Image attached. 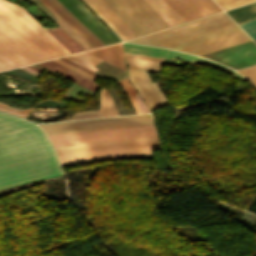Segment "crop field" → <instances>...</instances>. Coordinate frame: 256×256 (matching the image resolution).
<instances>
[{
  "mask_svg": "<svg viewBox=\"0 0 256 256\" xmlns=\"http://www.w3.org/2000/svg\"><path fill=\"white\" fill-rule=\"evenodd\" d=\"M72 56H74V57H76V58H78V59H80V60H82V61H84V62H86V63H88L90 65H92V66H94V65H96V64H98L99 62L102 61V60H100V59H98V58H96V57H94V56H92V55H90V54H88L86 52L80 53V54H76V55H72Z\"/></svg>",
  "mask_w": 256,
  "mask_h": 256,
  "instance_id": "crop-field-27",
  "label": "crop field"
},
{
  "mask_svg": "<svg viewBox=\"0 0 256 256\" xmlns=\"http://www.w3.org/2000/svg\"><path fill=\"white\" fill-rule=\"evenodd\" d=\"M154 144H158L156 136L78 144V145L59 146L55 148L59 155H63V154H72V153H81V152H90V151H99V150H108V149L154 145Z\"/></svg>",
  "mask_w": 256,
  "mask_h": 256,
  "instance_id": "crop-field-10",
  "label": "crop field"
},
{
  "mask_svg": "<svg viewBox=\"0 0 256 256\" xmlns=\"http://www.w3.org/2000/svg\"><path fill=\"white\" fill-rule=\"evenodd\" d=\"M153 124L148 114L40 126L47 135Z\"/></svg>",
  "mask_w": 256,
  "mask_h": 256,
  "instance_id": "crop-field-6",
  "label": "crop field"
},
{
  "mask_svg": "<svg viewBox=\"0 0 256 256\" xmlns=\"http://www.w3.org/2000/svg\"><path fill=\"white\" fill-rule=\"evenodd\" d=\"M185 22L222 11L212 0H164Z\"/></svg>",
  "mask_w": 256,
  "mask_h": 256,
  "instance_id": "crop-field-12",
  "label": "crop field"
},
{
  "mask_svg": "<svg viewBox=\"0 0 256 256\" xmlns=\"http://www.w3.org/2000/svg\"><path fill=\"white\" fill-rule=\"evenodd\" d=\"M56 40H58L71 54L83 51V49L77 45L66 33H64L59 27L45 28Z\"/></svg>",
  "mask_w": 256,
  "mask_h": 256,
  "instance_id": "crop-field-21",
  "label": "crop field"
},
{
  "mask_svg": "<svg viewBox=\"0 0 256 256\" xmlns=\"http://www.w3.org/2000/svg\"><path fill=\"white\" fill-rule=\"evenodd\" d=\"M69 54L23 8L0 0V71Z\"/></svg>",
  "mask_w": 256,
  "mask_h": 256,
  "instance_id": "crop-field-2",
  "label": "crop field"
},
{
  "mask_svg": "<svg viewBox=\"0 0 256 256\" xmlns=\"http://www.w3.org/2000/svg\"><path fill=\"white\" fill-rule=\"evenodd\" d=\"M234 69L256 64V44L251 41L227 49L202 55Z\"/></svg>",
  "mask_w": 256,
  "mask_h": 256,
  "instance_id": "crop-field-8",
  "label": "crop field"
},
{
  "mask_svg": "<svg viewBox=\"0 0 256 256\" xmlns=\"http://www.w3.org/2000/svg\"><path fill=\"white\" fill-rule=\"evenodd\" d=\"M156 135L154 126H139L72 134L52 135L54 146Z\"/></svg>",
  "mask_w": 256,
  "mask_h": 256,
  "instance_id": "crop-field-7",
  "label": "crop field"
},
{
  "mask_svg": "<svg viewBox=\"0 0 256 256\" xmlns=\"http://www.w3.org/2000/svg\"><path fill=\"white\" fill-rule=\"evenodd\" d=\"M66 58H68V59H70V60H72V61H74V62H76V63H78V64H80V65H82V66H84V67H86L88 69H90V70L96 69V68H94V67H92V66H90V65H88V64H86V63H84V62H82V61H80V60H78V59H76L74 57H72V56H66Z\"/></svg>",
  "mask_w": 256,
  "mask_h": 256,
  "instance_id": "crop-field-33",
  "label": "crop field"
},
{
  "mask_svg": "<svg viewBox=\"0 0 256 256\" xmlns=\"http://www.w3.org/2000/svg\"><path fill=\"white\" fill-rule=\"evenodd\" d=\"M99 114L100 117L119 115L109 95V92L105 89H102L100 94Z\"/></svg>",
  "mask_w": 256,
  "mask_h": 256,
  "instance_id": "crop-field-22",
  "label": "crop field"
},
{
  "mask_svg": "<svg viewBox=\"0 0 256 256\" xmlns=\"http://www.w3.org/2000/svg\"><path fill=\"white\" fill-rule=\"evenodd\" d=\"M75 17H77L95 36H97L105 45L121 41L106 27H104L98 18L91 13L78 0H59Z\"/></svg>",
  "mask_w": 256,
  "mask_h": 256,
  "instance_id": "crop-field-9",
  "label": "crop field"
},
{
  "mask_svg": "<svg viewBox=\"0 0 256 256\" xmlns=\"http://www.w3.org/2000/svg\"><path fill=\"white\" fill-rule=\"evenodd\" d=\"M156 149H159L158 145L127 148V149H118V150H109V151L90 152V153H81V154H72V155H63V156H59V157H60L61 162H66V161H76V160H86V159H96V158H106V157L147 154V153H152V150H156ZM147 155H152V154H147ZM147 155H137V156H147ZM137 156H127V157H137ZM127 157H117V158H127ZM117 158H107V159H117ZM107 159L66 162V163H61V164L107 160Z\"/></svg>",
  "mask_w": 256,
  "mask_h": 256,
  "instance_id": "crop-field-13",
  "label": "crop field"
},
{
  "mask_svg": "<svg viewBox=\"0 0 256 256\" xmlns=\"http://www.w3.org/2000/svg\"><path fill=\"white\" fill-rule=\"evenodd\" d=\"M237 72L248 78L256 87V65L242 70H238Z\"/></svg>",
  "mask_w": 256,
  "mask_h": 256,
  "instance_id": "crop-field-26",
  "label": "crop field"
},
{
  "mask_svg": "<svg viewBox=\"0 0 256 256\" xmlns=\"http://www.w3.org/2000/svg\"><path fill=\"white\" fill-rule=\"evenodd\" d=\"M255 41H256V39H255Z\"/></svg>",
  "mask_w": 256,
  "mask_h": 256,
  "instance_id": "crop-field-36",
  "label": "crop field"
},
{
  "mask_svg": "<svg viewBox=\"0 0 256 256\" xmlns=\"http://www.w3.org/2000/svg\"><path fill=\"white\" fill-rule=\"evenodd\" d=\"M170 26L184 21L163 1L145 0Z\"/></svg>",
  "mask_w": 256,
  "mask_h": 256,
  "instance_id": "crop-field-17",
  "label": "crop field"
},
{
  "mask_svg": "<svg viewBox=\"0 0 256 256\" xmlns=\"http://www.w3.org/2000/svg\"><path fill=\"white\" fill-rule=\"evenodd\" d=\"M89 112H97V113H89ZM83 113H89V114H84V115H81V116L73 117L74 115L83 114ZM95 117H99L98 110L82 111V112L74 113V114H72V118H70L68 120L95 118Z\"/></svg>",
  "mask_w": 256,
  "mask_h": 256,
  "instance_id": "crop-field-29",
  "label": "crop field"
},
{
  "mask_svg": "<svg viewBox=\"0 0 256 256\" xmlns=\"http://www.w3.org/2000/svg\"><path fill=\"white\" fill-rule=\"evenodd\" d=\"M223 10L234 8L256 0H214Z\"/></svg>",
  "mask_w": 256,
  "mask_h": 256,
  "instance_id": "crop-field-24",
  "label": "crop field"
},
{
  "mask_svg": "<svg viewBox=\"0 0 256 256\" xmlns=\"http://www.w3.org/2000/svg\"><path fill=\"white\" fill-rule=\"evenodd\" d=\"M59 59L65 61V62H67V63H69V64H71V65H73V66H75V67H77V68H79V69H81V70H83V71H85V72H87V73H89V74L95 76V77H99V78L103 79L102 77H100V76H98V75H96V74H94V73H92V72H90V71L84 69L83 67H81V66H79V65H77V64H75V63H73V62H71V61H69V60H67V59H65V58H63V57H61V58H59Z\"/></svg>",
  "mask_w": 256,
  "mask_h": 256,
  "instance_id": "crop-field-32",
  "label": "crop field"
},
{
  "mask_svg": "<svg viewBox=\"0 0 256 256\" xmlns=\"http://www.w3.org/2000/svg\"><path fill=\"white\" fill-rule=\"evenodd\" d=\"M240 26L253 38H256V21L247 23V24H243V26L255 37H253L241 24Z\"/></svg>",
  "mask_w": 256,
  "mask_h": 256,
  "instance_id": "crop-field-30",
  "label": "crop field"
},
{
  "mask_svg": "<svg viewBox=\"0 0 256 256\" xmlns=\"http://www.w3.org/2000/svg\"><path fill=\"white\" fill-rule=\"evenodd\" d=\"M125 51L156 57H165L167 50L124 43Z\"/></svg>",
  "mask_w": 256,
  "mask_h": 256,
  "instance_id": "crop-field-23",
  "label": "crop field"
},
{
  "mask_svg": "<svg viewBox=\"0 0 256 256\" xmlns=\"http://www.w3.org/2000/svg\"><path fill=\"white\" fill-rule=\"evenodd\" d=\"M108 47H110V48H112V49H114V50H116V51H118V52L123 54L122 43L116 44V45H112V46H108Z\"/></svg>",
  "mask_w": 256,
  "mask_h": 256,
  "instance_id": "crop-field-34",
  "label": "crop field"
},
{
  "mask_svg": "<svg viewBox=\"0 0 256 256\" xmlns=\"http://www.w3.org/2000/svg\"><path fill=\"white\" fill-rule=\"evenodd\" d=\"M103 1L137 36L169 27L144 0Z\"/></svg>",
  "mask_w": 256,
  "mask_h": 256,
  "instance_id": "crop-field-4",
  "label": "crop field"
},
{
  "mask_svg": "<svg viewBox=\"0 0 256 256\" xmlns=\"http://www.w3.org/2000/svg\"><path fill=\"white\" fill-rule=\"evenodd\" d=\"M238 24L256 19V2L226 11Z\"/></svg>",
  "mask_w": 256,
  "mask_h": 256,
  "instance_id": "crop-field-20",
  "label": "crop field"
},
{
  "mask_svg": "<svg viewBox=\"0 0 256 256\" xmlns=\"http://www.w3.org/2000/svg\"><path fill=\"white\" fill-rule=\"evenodd\" d=\"M230 23H233V21L224 12H221L130 40L129 42L157 46Z\"/></svg>",
  "mask_w": 256,
  "mask_h": 256,
  "instance_id": "crop-field-5",
  "label": "crop field"
},
{
  "mask_svg": "<svg viewBox=\"0 0 256 256\" xmlns=\"http://www.w3.org/2000/svg\"><path fill=\"white\" fill-rule=\"evenodd\" d=\"M128 67L158 72L164 59L125 52Z\"/></svg>",
  "mask_w": 256,
  "mask_h": 256,
  "instance_id": "crop-field-16",
  "label": "crop field"
},
{
  "mask_svg": "<svg viewBox=\"0 0 256 256\" xmlns=\"http://www.w3.org/2000/svg\"><path fill=\"white\" fill-rule=\"evenodd\" d=\"M66 78L72 79L73 82L95 92L97 90V88L100 86L98 84H96L95 82H93L92 80L50 60V61H46V62H42V63H38ZM99 89V88H98Z\"/></svg>",
  "mask_w": 256,
  "mask_h": 256,
  "instance_id": "crop-field-15",
  "label": "crop field"
},
{
  "mask_svg": "<svg viewBox=\"0 0 256 256\" xmlns=\"http://www.w3.org/2000/svg\"><path fill=\"white\" fill-rule=\"evenodd\" d=\"M88 52L126 71L124 56L122 54L108 47Z\"/></svg>",
  "mask_w": 256,
  "mask_h": 256,
  "instance_id": "crop-field-19",
  "label": "crop field"
},
{
  "mask_svg": "<svg viewBox=\"0 0 256 256\" xmlns=\"http://www.w3.org/2000/svg\"><path fill=\"white\" fill-rule=\"evenodd\" d=\"M61 174L46 135L35 124L0 112V189Z\"/></svg>",
  "mask_w": 256,
  "mask_h": 256,
  "instance_id": "crop-field-1",
  "label": "crop field"
},
{
  "mask_svg": "<svg viewBox=\"0 0 256 256\" xmlns=\"http://www.w3.org/2000/svg\"><path fill=\"white\" fill-rule=\"evenodd\" d=\"M0 110L25 118L26 115H27L32 109H27V110L19 111V110H16V109H14V108H11V107H9V106H7V105H4V104H1V103H0Z\"/></svg>",
  "mask_w": 256,
  "mask_h": 256,
  "instance_id": "crop-field-28",
  "label": "crop field"
},
{
  "mask_svg": "<svg viewBox=\"0 0 256 256\" xmlns=\"http://www.w3.org/2000/svg\"><path fill=\"white\" fill-rule=\"evenodd\" d=\"M166 57L176 59V60H182V61L187 62L189 64H192V63H195V62L205 63V64H208V65L217 67V68H219V69H221V70H223L227 73H230V74L234 75L235 77L239 78L242 81L246 80L243 77L239 76L238 74H236L235 72H233L232 70H230V69H228L224 66H221V65L215 64L213 62L201 59L199 57H195V56H191V55H187V54H183V53H179V52H175V51H171V50H168V53H167Z\"/></svg>",
  "mask_w": 256,
  "mask_h": 256,
  "instance_id": "crop-field-18",
  "label": "crop field"
},
{
  "mask_svg": "<svg viewBox=\"0 0 256 256\" xmlns=\"http://www.w3.org/2000/svg\"><path fill=\"white\" fill-rule=\"evenodd\" d=\"M118 83L121 85V87L126 91L127 95H128V98L131 102V104L133 105L136 113H140L132 96L136 95V92L134 91V89L132 88V86L130 85L128 79H123L121 81H118Z\"/></svg>",
  "mask_w": 256,
  "mask_h": 256,
  "instance_id": "crop-field-25",
  "label": "crop field"
},
{
  "mask_svg": "<svg viewBox=\"0 0 256 256\" xmlns=\"http://www.w3.org/2000/svg\"><path fill=\"white\" fill-rule=\"evenodd\" d=\"M54 61H56V62H58V63H60V64H62L64 66H66V67H68V68H70V69H72V70H74V71H76V72H78V73H80V74H82V75L92 79V80L95 79V77H93V76H91V75H89V74H87V73H85V72H83V71H81V70H79V69H77V68H75V67H73V66H71V65H69V64H67V63H65L63 61H61V60H59V59H54Z\"/></svg>",
  "mask_w": 256,
  "mask_h": 256,
  "instance_id": "crop-field-31",
  "label": "crop field"
},
{
  "mask_svg": "<svg viewBox=\"0 0 256 256\" xmlns=\"http://www.w3.org/2000/svg\"><path fill=\"white\" fill-rule=\"evenodd\" d=\"M29 67H31V68H33V69H35V70H37V71H39V72H41L42 70H40V69H38V68H36V67H34V66H32V65H28Z\"/></svg>",
  "mask_w": 256,
  "mask_h": 256,
  "instance_id": "crop-field-35",
  "label": "crop field"
},
{
  "mask_svg": "<svg viewBox=\"0 0 256 256\" xmlns=\"http://www.w3.org/2000/svg\"><path fill=\"white\" fill-rule=\"evenodd\" d=\"M247 41H251V39L233 23L159 47L202 55Z\"/></svg>",
  "mask_w": 256,
  "mask_h": 256,
  "instance_id": "crop-field-3",
  "label": "crop field"
},
{
  "mask_svg": "<svg viewBox=\"0 0 256 256\" xmlns=\"http://www.w3.org/2000/svg\"><path fill=\"white\" fill-rule=\"evenodd\" d=\"M122 40L136 35L105 5L102 0H83Z\"/></svg>",
  "mask_w": 256,
  "mask_h": 256,
  "instance_id": "crop-field-14",
  "label": "crop field"
},
{
  "mask_svg": "<svg viewBox=\"0 0 256 256\" xmlns=\"http://www.w3.org/2000/svg\"><path fill=\"white\" fill-rule=\"evenodd\" d=\"M129 70V79L144 100L149 112L151 109L167 103L156 82L152 83L147 72L137 69Z\"/></svg>",
  "mask_w": 256,
  "mask_h": 256,
  "instance_id": "crop-field-11",
  "label": "crop field"
}]
</instances>
